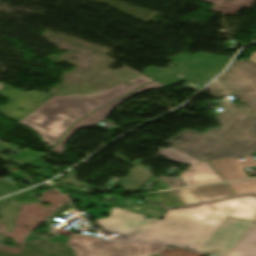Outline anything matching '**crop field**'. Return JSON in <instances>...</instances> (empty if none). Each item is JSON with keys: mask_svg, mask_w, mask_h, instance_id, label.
Listing matches in <instances>:
<instances>
[{"mask_svg": "<svg viewBox=\"0 0 256 256\" xmlns=\"http://www.w3.org/2000/svg\"><path fill=\"white\" fill-rule=\"evenodd\" d=\"M216 80L247 106L236 108L235 104L222 102L226 111L215 118L221 124L218 128L206 133L185 130L164 143L199 160L241 157L255 152L256 63L233 61Z\"/></svg>", "mask_w": 256, "mask_h": 256, "instance_id": "8a807250", "label": "crop field"}, {"mask_svg": "<svg viewBox=\"0 0 256 256\" xmlns=\"http://www.w3.org/2000/svg\"><path fill=\"white\" fill-rule=\"evenodd\" d=\"M85 208L96 220L94 223L103 229L117 233L116 240L147 241L168 243L174 247L190 248L199 251L209 240L214 231L227 215L256 220V197L244 196L236 199L214 203L222 215L214 226L201 225L186 209L168 210L161 221L145 219V216L134 214L92 200L82 201ZM96 205L94 210L88 209ZM102 206L111 207L105 210ZM109 214L104 218L100 215Z\"/></svg>", "mask_w": 256, "mask_h": 256, "instance_id": "ac0d7876", "label": "crop field"}, {"mask_svg": "<svg viewBox=\"0 0 256 256\" xmlns=\"http://www.w3.org/2000/svg\"><path fill=\"white\" fill-rule=\"evenodd\" d=\"M153 80L141 76L92 95L52 97L19 123L32 128L44 143L54 146L70 125L90 112Z\"/></svg>", "mask_w": 256, "mask_h": 256, "instance_id": "34b2d1b8", "label": "crop field"}, {"mask_svg": "<svg viewBox=\"0 0 256 256\" xmlns=\"http://www.w3.org/2000/svg\"><path fill=\"white\" fill-rule=\"evenodd\" d=\"M39 231L29 233L26 240L45 239L37 237ZM64 240L74 250L81 254L78 256H151L166 248L167 245L124 242V241H103L102 238L74 234L70 238L56 235L50 241Z\"/></svg>", "mask_w": 256, "mask_h": 256, "instance_id": "412701ff", "label": "crop field"}, {"mask_svg": "<svg viewBox=\"0 0 256 256\" xmlns=\"http://www.w3.org/2000/svg\"><path fill=\"white\" fill-rule=\"evenodd\" d=\"M253 223L227 216L200 252L224 256Z\"/></svg>", "mask_w": 256, "mask_h": 256, "instance_id": "f4fd0767", "label": "crop field"}, {"mask_svg": "<svg viewBox=\"0 0 256 256\" xmlns=\"http://www.w3.org/2000/svg\"><path fill=\"white\" fill-rule=\"evenodd\" d=\"M0 95L9 101L0 107V114L17 122L52 97L50 94L38 91L25 93L16 89L10 90L6 86L0 89ZM19 108H23V110L18 111Z\"/></svg>", "mask_w": 256, "mask_h": 256, "instance_id": "dd49c442", "label": "crop field"}, {"mask_svg": "<svg viewBox=\"0 0 256 256\" xmlns=\"http://www.w3.org/2000/svg\"><path fill=\"white\" fill-rule=\"evenodd\" d=\"M158 154L173 162L190 164L188 169L191 171L187 172V169L180 175L188 186L222 181L207 161H198L172 147L160 149Z\"/></svg>", "mask_w": 256, "mask_h": 256, "instance_id": "e52e79f7", "label": "crop field"}, {"mask_svg": "<svg viewBox=\"0 0 256 256\" xmlns=\"http://www.w3.org/2000/svg\"><path fill=\"white\" fill-rule=\"evenodd\" d=\"M173 192L186 206L235 196L225 183L191 187Z\"/></svg>", "mask_w": 256, "mask_h": 256, "instance_id": "d8731c3e", "label": "crop field"}, {"mask_svg": "<svg viewBox=\"0 0 256 256\" xmlns=\"http://www.w3.org/2000/svg\"><path fill=\"white\" fill-rule=\"evenodd\" d=\"M164 86L153 82L149 85H146L112 103H110L109 105L99 109L98 111L88 115L87 117L77 121L71 128L70 130L63 136V138L59 141L61 142L60 144H56L55 147L52 149V151L57 152L59 155L62 154V152L64 151V144L65 142L68 140V138L73 134V132L81 127H86V126H92V125H96L98 122H100L102 119H104L107 114L109 113V111L116 106L118 103H120L121 101L125 100L126 98H128L129 96L133 95V94H137L140 93L142 91H145L147 89H155V88H162Z\"/></svg>", "mask_w": 256, "mask_h": 256, "instance_id": "5a996713", "label": "crop field"}, {"mask_svg": "<svg viewBox=\"0 0 256 256\" xmlns=\"http://www.w3.org/2000/svg\"><path fill=\"white\" fill-rule=\"evenodd\" d=\"M244 158L246 161L243 163L239 162L238 158L212 160L209 162L224 180H229L249 177L242 168L256 166V161L252 159L251 155L244 156Z\"/></svg>", "mask_w": 256, "mask_h": 256, "instance_id": "3316defc", "label": "crop field"}, {"mask_svg": "<svg viewBox=\"0 0 256 256\" xmlns=\"http://www.w3.org/2000/svg\"><path fill=\"white\" fill-rule=\"evenodd\" d=\"M20 148H23V147H18L15 145H9L7 143L0 142V152L6 151V150H12V152L17 153L16 155L12 153V155L9 157H4L3 155L0 154V159L4 162H7L9 161V158H12L11 162L24 166L30 163L31 161H33L34 159H36V157H39L40 155H42V153L33 152L27 148H24L23 151H20L19 150Z\"/></svg>", "mask_w": 256, "mask_h": 256, "instance_id": "28ad6ade", "label": "crop field"}, {"mask_svg": "<svg viewBox=\"0 0 256 256\" xmlns=\"http://www.w3.org/2000/svg\"><path fill=\"white\" fill-rule=\"evenodd\" d=\"M227 256H256V225L250 229Z\"/></svg>", "mask_w": 256, "mask_h": 256, "instance_id": "d1516ede", "label": "crop field"}, {"mask_svg": "<svg viewBox=\"0 0 256 256\" xmlns=\"http://www.w3.org/2000/svg\"><path fill=\"white\" fill-rule=\"evenodd\" d=\"M194 217L204 225H213L221 216L212 204H204L194 208H187Z\"/></svg>", "mask_w": 256, "mask_h": 256, "instance_id": "22f410ed", "label": "crop field"}, {"mask_svg": "<svg viewBox=\"0 0 256 256\" xmlns=\"http://www.w3.org/2000/svg\"><path fill=\"white\" fill-rule=\"evenodd\" d=\"M215 4L211 9L236 15L241 6L251 8L255 0H204Z\"/></svg>", "mask_w": 256, "mask_h": 256, "instance_id": "cbeb9de0", "label": "crop field"}, {"mask_svg": "<svg viewBox=\"0 0 256 256\" xmlns=\"http://www.w3.org/2000/svg\"><path fill=\"white\" fill-rule=\"evenodd\" d=\"M227 184L237 195L251 193L256 196V179L229 182Z\"/></svg>", "mask_w": 256, "mask_h": 256, "instance_id": "5142ce71", "label": "crop field"}, {"mask_svg": "<svg viewBox=\"0 0 256 256\" xmlns=\"http://www.w3.org/2000/svg\"><path fill=\"white\" fill-rule=\"evenodd\" d=\"M211 95L215 98H220L228 94L226 90H224L220 85H218L215 81L206 87Z\"/></svg>", "mask_w": 256, "mask_h": 256, "instance_id": "d9b57169", "label": "crop field"}, {"mask_svg": "<svg viewBox=\"0 0 256 256\" xmlns=\"http://www.w3.org/2000/svg\"><path fill=\"white\" fill-rule=\"evenodd\" d=\"M169 188L184 186L179 178L160 177Z\"/></svg>", "mask_w": 256, "mask_h": 256, "instance_id": "733c2abd", "label": "crop field"}, {"mask_svg": "<svg viewBox=\"0 0 256 256\" xmlns=\"http://www.w3.org/2000/svg\"><path fill=\"white\" fill-rule=\"evenodd\" d=\"M6 189H9V190L7 191ZM14 191H17V190L0 182V196L6 195L8 194V192H14Z\"/></svg>", "mask_w": 256, "mask_h": 256, "instance_id": "4a817a6b", "label": "crop field"}, {"mask_svg": "<svg viewBox=\"0 0 256 256\" xmlns=\"http://www.w3.org/2000/svg\"><path fill=\"white\" fill-rule=\"evenodd\" d=\"M249 60L256 62V52L251 54V57L249 58Z\"/></svg>", "mask_w": 256, "mask_h": 256, "instance_id": "bc2a9ffb", "label": "crop field"}, {"mask_svg": "<svg viewBox=\"0 0 256 256\" xmlns=\"http://www.w3.org/2000/svg\"><path fill=\"white\" fill-rule=\"evenodd\" d=\"M12 174H14L15 176H20V175H23L21 172L17 171V172H12Z\"/></svg>", "mask_w": 256, "mask_h": 256, "instance_id": "214f88e0", "label": "crop field"}, {"mask_svg": "<svg viewBox=\"0 0 256 256\" xmlns=\"http://www.w3.org/2000/svg\"><path fill=\"white\" fill-rule=\"evenodd\" d=\"M4 85L0 84V88L3 87Z\"/></svg>", "mask_w": 256, "mask_h": 256, "instance_id": "92a150f3", "label": "crop field"}, {"mask_svg": "<svg viewBox=\"0 0 256 256\" xmlns=\"http://www.w3.org/2000/svg\"><path fill=\"white\" fill-rule=\"evenodd\" d=\"M154 256H160V255L156 254V255H154Z\"/></svg>", "mask_w": 256, "mask_h": 256, "instance_id": "dafd665d", "label": "crop field"}, {"mask_svg": "<svg viewBox=\"0 0 256 256\" xmlns=\"http://www.w3.org/2000/svg\"><path fill=\"white\" fill-rule=\"evenodd\" d=\"M0 246H1V243H0Z\"/></svg>", "mask_w": 256, "mask_h": 256, "instance_id": "00972430", "label": "crop field"}]
</instances>
